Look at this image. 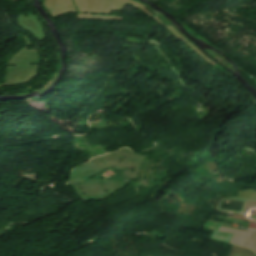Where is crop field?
<instances>
[{
  "mask_svg": "<svg viewBox=\"0 0 256 256\" xmlns=\"http://www.w3.org/2000/svg\"><path fill=\"white\" fill-rule=\"evenodd\" d=\"M219 231L235 233L230 244L248 248L255 251L254 231H239L220 227Z\"/></svg>",
  "mask_w": 256,
  "mask_h": 256,
  "instance_id": "crop-field-1",
  "label": "crop field"
},
{
  "mask_svg": "<svg viewBox=\"0 0 256 256\" xmlns=\"http://www.w3.org/2000/svg\"><path fill=\"white\" fill-rule=\"evenodd\" d=\"M220 225L221 224H219V223L207 221L205 229L213 230V232L211 234L212 237L210 238V240H217V241H221V242H225V243L229 244L233 234L217 232Z\"/></svg>",
  "mask_w": 256,
  "mask_h": 256,
  "instance_id": "crop-field-2",
  "label": "crop field"
},
{
  "mask_svg": "<svg viewBox=\"0 0 256 256\" xmlns=\"http://www.w3.org/2000/svg\"><path fill=\"white\" fill-rule=\"evenodd\" d=\"M256 232V231H255Z\"/></svg>",
  "mask_w": 256,
  "mask_h": 256,
  "instance_id": "crop-field-3",
  "label": "crop field"
}]
</instances>
